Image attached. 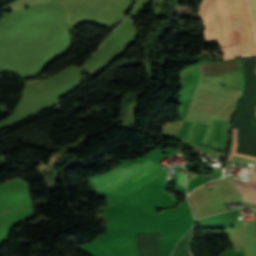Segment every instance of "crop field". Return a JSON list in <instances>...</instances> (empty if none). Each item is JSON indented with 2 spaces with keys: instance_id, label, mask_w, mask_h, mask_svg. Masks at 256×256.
I'll list each match as a JSON object with an SVG mask.
<instances>
[{
  "instance_id": "8a807250",
  "label": "crop field",
  "mask_w": 256,
  "mask_h": 256,
  "mask_svg": "<svg viewBox=\"0 0 256 256\" xmlns=\"http://www.w3.org/2000/svg\"><path fill=\"white\" fill-rule=\"evenodd\" d=\"M152 163L154 162L148 159L142 164L138 162L135 165L127 168H116L108 173L93 177L91 179L96 188V191H102ZM165 173V170L154 163L124 179L123 181L113 185L112 187L104 190V192L125 195Z\"/></svg>"
},
{
  "instance_id": "ac0d7876",
  "label": "crop field",
  "mask_w": 256,
  "mask_h": 256,
  "mask_svg": "<svg viewBox=\"0 0 256 256\" xmlns=\"http://www.w3.org/2000/svg\"><path fill=\"white\" fill-rule=\"evenodd\" d=\"M141 256H163L160 249V233L137 234Z\"/></svg>"
},
{
  "instance_id": "34b2d1b8",
  "label": "crop field",
  "mask_w": 256,
  "mask_h": 256,
  "mask_svg": "<svg viewBox=\"0 0 256 256\" xmlns=\"http://www.w3.org/2000/svg\"><path fill=\"white\" fill-rule=\"evenodd\" d=\"M229 182L240 193L243 201L256 204V173H251L248 182Z\"/></svg>"
},
{
  "instance_id": "412701ff",
  "label": "crop field",
  "mask_w": 256,
  "mask_h": 256,
  "mask_svg": "<svg viewBox=\"0 0 256 256\" xmlns=\"http://www.w3.org/2000/svg\"><path fill=\"white\" fill-rule=\"evenodd\" d=\"M256 222H244L243 246L246 256H256V246L254 242Z\"/></svg>"
},
{
  "instance_id": "f4fd0767",
  "label": "crop field",
  "mask_w": 256,
  "mask_h": 256,
  "mask_svg": "<svg viewBox=\"0 0 256 256\" xmlns=\"http://www.w3.org/2000/svg\"><path fill=\"white\" fill-rule=\"evenodd\" d=\"M223 83L241 87L240 64H223Z\"/></svg>"
},
{
  "instance_id": "dd49c442",
  "label": "crop field",
  "mask_w": 256,
  "mask_h": 256,
  "mask_svg": "<svg viewBox=\"0 0 256 256\" xmlns=\"http://www.w3.org/2000/svg\"><path fill=\"white\" fill-rule=\"evenodd\" d=\"M178 184L186 188L185 175L178 172Z\"/></svg>"
},
{
  "instance_id": "e52e79f7",
  "label": "crop field",
  "mask_w": 256,
  "mask_h": 256,
  "mask_svg": "<svg viewBox=\"0 0 256 256\" xmlns=\"http://www.w3.org/2000/svg\"><path fill=\"white\" fill-rule=\"evenodd\" d=\"M234 135H235V133H232V142H231V148H230V150H229V157H228V161H230V159H231V153H232V147H233Z\"/></svg>"
},
{
  "instance_id": "d8731c3e",
  "label": "crop field",
  "mask_w": 256,
  "mask_h": 256,
  "mask_svg": "<svg viewBox=\"0 0 256 256\" xmlns=\"http://www.w3.org/2000/svg\"><path fill=\"white\" fill-rule=\"evenodd\" d=\"M252 171H256V166L254 167V169Z\"/></svg>"
}]
</instances>
